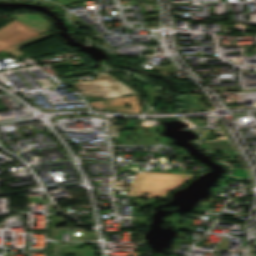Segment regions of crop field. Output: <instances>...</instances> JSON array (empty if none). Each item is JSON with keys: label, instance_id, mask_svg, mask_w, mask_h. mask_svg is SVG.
Wrapping results in <instances>:
<instances>
[{"label": "crop field", "instance_id": "4", "mask_svg": "<svg viewBox=\"0 0 256 256\" xmlns=\"http://www.w3.org/2000/svg\"><path fill=\"white\" fill-rule=\"evenodd\" d=\"M126 103L130 105L129 108L124 106V104ZM89 104L95 108L106 110H115L123 112H138L140 110L134 95L129 97H122L103 101H92L89 102Z\"/></svg>", "mask_w": 256, "mask_h": 256}, {"label": "crop field", "instance_id": "6", "mask_svg": "<svg viewBox=\"0 0 256 256\" xmlns=\"http://www.w3.org/2000/svg\"><path fill=\"white\" fill-rule=\"evenodd\" d=\"M50 35H51V33L39 34V35H37L35 37L28 38V39H25V40H23L21 42H18L16 44H14V45H11V46H9V47L1 50V51L7 52V53L15 55V56H19V55L24 54V53L18 51L17 49H19V48H21V47H23V46H25L27 44H30L32 42H35V41H38V40L43 39L45 37H48Z\"/></svg>", "mask_w": 256, "mask_h": 256}, {"label": "crop field", "instance_id": "5", "mask_svg": "<svg viewBox=\"0 0 256 256\" xmlns=\"http://www.w3.org/2000/svg\"><path fill=\"white\" fill-rule=\"evenodd\" d=\"M9 18H15L19 22L31 27L39 33L47 31L49 29L48 21L44 20L39 15H14L9 16Z\"/></svg>", "mask_w": 256, "mask_h": 256}, {"label": "crop field", "instance_id": "3", "mask_svg": "<svg viewBox=\"0 0 256 256\" xmlns=\"http://www.w3.org/2000/svg\"><path fill=\"white\" fill-rule=\"evenodd\" d=\"M39 33L19 23L16 20L0 28V50L21 41L25 38L35 36Z\"/></svg>", "mask_w": 256, "mask_h": 256}, {"label": "crop field", "instance_id": "2", "mask_svg": "<svg viewBox=\"0 0 256 256\" xmlns=\"http://www.w3.org/2000/svg\"><path fill=\"white\" fill-rule=\"evenodd\" d=\"M94 75L97 79L71 83L80 91L86 102L136 94L105 72L95 73Z\"/></svg>", "mask_w": 256, "mask_h": 256}, {"label": "crop field", "instance_id": "1", "mask_svg": "<svg viewBox=\"0 0 256 256\" xmlns=\"http://www.w3.org/2000/svg\"><path fill=\"white\" fill-rule=\"evenodd\" d=\"M193 174L173 173H135L130 187L126 193L128 196L142 198H166L169 189L181 186ZM148 192V195H143Z\"/></svg>", "mask_w": 256, "mask_h": 256}]
</instances>
